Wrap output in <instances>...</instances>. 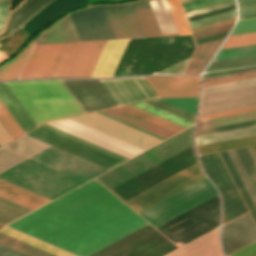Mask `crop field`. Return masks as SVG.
<instances>
[{"mask_svg":"<svg viewBox=\"0 0 256 256\" xmlns=\"http://www.w3.org/2000/svg\"><path fill=\"white\" fill-rule=\"evenodd\" d=\"M146 224L93 180L7 226L88 256Z\"/></svg>","mask_w":256,"mask_h":256,"instance_id":"obj_1","label":"crop field"},{"mask_svg":"<svg viewBox=\"0 0 256 256\" xmlns=\"http://www.w3.org/2000/svg\"><path fill=\"white\" fill-rule=\"evenodd\" d=\"M26 135L0 148V173L49 147ZM107 169L49 147L0 174V179L50 200Z\"/></svg>","mask_w":256,"mask_h":256,"instance_id":"obj_2","label":"crop field"},{"mask_svg":"<svg viewBox=\"0 0 256 256\" xmlns=\"http://www.w3.org/2000/svg\"><path fill=\"white\" fill-rule=\"evenodd\" d=\"M193 49L191 35L130 39L112 76L157 74L189 58ZM188 60L160 74L182 73Z\"/></svg>","mask_w":256,"mask_h":256,"instance_id":"obj_3","label":"crop field"},{"mask_svg":"<svg viewBox=\"0 0 256 256\" xmlns=\"http://www.w3.org/2000/svg\"><path fill=\"white\" fill-rule=\"evenodd\" d=\"M106 41L35 45L20 78L89 77Z\"/></svg>","mask_w":256,"mask_h":256,"instance_id":"obj_4","label":"crop field"},{"mask_svg":"<svg viewBox=\"0 0 256 256\" xmlns=\"http://www.w3.org/2000/svg\"><path fill=\"white\" fill-rule=\"evenodd\" d=\"M5 84L37 126L49 120L83 113L60 80Z\"/></svg>","mask_w":256,"mask_h":256,"instance_id":"obj_5","label":"crop field"},{"mask_svg":"<svg viewBox=\"0 0 256 256\" xmlns=\"http://www.w3.org/2000/svg\"><path fill=\"white\" fill-rule=\"evenodd\" d=\"M193 127L96 177L109 190L193 146Z\"/></svg>","mask_w":256,"mask_h":256,"instance_id":"obj_6","label":"crop field"},{"mask_svg":"<svg viewBox=\"0 0 256 256\" xmlns=\"http://www.w3.org/2000/svg\"><path fill=\"white\" fill-rule=\"evenodd\" d=\"M219 224L218 196L156 227L173 243L182 245L217 227Z\"/></svg>","mask_w":256,"mask_h":256,"instance_id":"obj_7","label":"crop field"},{"mask_svg":"<svg viewBox=\"0 0 256 256\" xmlns=\"http://www.w3.org/2000/svg\"><path fill=\"white\" fill-rule=\"evenodd\" d=\"M26 135L65 150L107 169L128 159L46 124L34 129Z\"/></svg>","mask_w":256,"mask_h":256,"instance_id":"obj_8","label":"crop field"},{"mask_svg":"<svg viewBox=\"0 0 256 256\" xmlns=\"http://www.w3.org/2000/svg\"><path fill=\"white\" fill-rule=\"evenodd\" d=\"M216 195L205 177L138 214L156 227Z\"/></svg>","mask_w":256,"mask_h":256,"instance_id":"obj_9","label":"crop field"},{"mask_svg":"<svg viewBox=\"0 0 256 256\" xmlns=\"http://www.w3.org/2000/svg\"><path fill=\"white\" fill-rule=\"evenodd\" d=\"M175 249L148 224L90 256H163Z\"/></svg>","mask_w":256,"mask_h":256,"instance_id":"obj_10","label":"crop field"},{"mask_svg":"<svg viewBox=\"0 0 256 256\" xmlns=\"http://www.w3.org/2000/svg\"><path fill=\"white\" fill-rule=\"evenodd\" d=\"M196 162L191 147L110 191L124 201Z\"/></svg>","mask_w":256,"mask_h":256,"instance_id":"obj_11","label":"crop field"},{"mask_svg":"<svg viewBox=\"0 0 256 256\" xmlns=\"http://www.w3.org/2000/svg\"><path fill=\"white\" fill-rule=\"evenodd\" d=\"M201 163L222 197L221 224L247 212L218 153L200 156Z\"/></svg>","mask_w":256,"mask_h":256,"instance_id":"obj_12","label":"crop field"},{"mask_svg":"<svg viewBox=\"0 0 256 256\" xmlns=\"http://www.w3.org/2000/svg\"><path fill=\"white\" fill-rule=\"evenodd\" d=\"M203 177L196 163L124 202L138 213Z\"/></svg>","mask_w":256,"mask_h":256,"instance_id":"obj_13","label":"crop field"},{"mask_svg":"<svg viewBox=\"0 0 256 256\" xmlns=\"http://www.w3.org/2000/svg\"><path fill=\"white\" fill-rule=\"evenodd\" d=\"M70 118L143 150H146L161 141L96 113Z\"/></svg>","mask_w":256,"mask_h":256,"instance_id":"obj_14","label":"crop field"},{"mask_svg":"<svg viewBox=\"0 0 256 256\" xmlns=\"http://www.w3.org/2000/svg\"><path fill=\"white\" fill-rule=\"evenodd\" d=\"M85 113L117 106L99 80H62Z\"/></svg>","mask_w":256,"mask_h":256,"instance_id":"obj_15","label":"crop field"},{"mask_svg":"<svg viewBox=\"0 0 256 256\" xmlns=\"http://www.w3.org/2000/svg\"><path fill=\"white\" fill-rule=\"evenodd\" d=\"M69 16L80 41L115 38L101 5Z\"/></svg>","mask_w":256,"mask_h":256,"instance_id":"obj_16","label":"crop field"},{"mask_svg":"<svg viewBox=\"0 0 256 256\" xmlns=\"http://www.w3.org/2000/svg\"><path fill=\"white\" fill-rule=\"evenodd\" d=\"M66 119V118H65ZM62 120V119H61ZM58 121V120H57ZM54 122V121H53ZM50 123V122H49ZM50 125L79 136L97 145L105 147L128 158L142 152L143 150L112 138L101 132L93 130L70 119L50 123Z\"/></svg>","mask_w":256,"mask_h":256,"instance_id":"obj_17","label":"crop field"},{"mask_svg":"<svg viewBox=\"0 0 256 256\" xmlns=\"http://www.w3.org/2000/svg\"><path fill=\"white\" fill-rule=\"evenodd\" d=\"M221 240L225 255H229L256 241V228L249 213L221 226Z\"/></svg>","mask_w":256,"mask_h":256,"instance_id":"obj_18","label":"crop field"},{"mask_svg":"<svg viewBox=\"0 0 256 256\" xmlns=\"http://www.w3.org/2000/svg\"><path fill=\"white\" fill-rule=\"evenodd\" d=\"M159 97L198 95V76L144 77Z\"/></svg>","mask_w":256,"mask_h":256,"instance_id":"obj_19","label":"crop field"},{"mask_svg":"<svg viewBox=\"0 0 256 256\" xmlns=\"http://www.w3.org/2000/svg\"><path fill=\"white\" fill-rule=\"evenodd\" d=\"M102 6L116 38L144 37L130 3Z\"/></svg>","mask_w":256,"mask_h":256,"instance_id":"obj_20","label":"crop field"},{"mask_svg":"<svg viewBox=\"0 0 256 256\" xmlns=\"http://www.w3.org/2000/svg\"><path fill=\"white\" fill-rule=\"evenodd\" d=\"M0 232H2L4 234H7V235H9L11 237H14V238H16L18 240H21V241H23L25 243H28V244H30L32 246H35V247H37L39 249H42V250H44L46 252H49V253H51L53 255H56V256H73V255H71L69 253L61 251V250H59L57 248H54V247H52L50 245H47V244H45L43 242H40V241H38L36 239H33V238L29 237V236H26V235H24L22 233H19V232L15 231V230L7 228V227L2 229ZM2 233H0V243L1 244H4V245H6L8 247H11V248H13L15 250H18V251L23 252V253H25L27 255H30V256H53V255H51L49 253H46V252H44L42 250H39V249H37L35 247H32V246H30L28 244H25V243H23L21 241H18L16 239L11 238V237H9L7 235H4Z\"/></svg>","mask_w":256,"mask_h":256,"instance_id":"obj_21","label":"crop field"},{"mask_svg":"<svg viewBox=\"0 0 256 256\" xmlns=\"http://www.w3.org/2000/svg\"><path fill=\"white\" fill-rule=\"evenodd\" d=\"M128 79H133L140 89L142 87V89L145 91V93L148 95V97L156 95L153 92V90L150 88V86L146 83L145 80H137L139 82V84L141 85V87L135 80V79H143V77L101 80V81L102 82H104V81H120V80H128ZM133 80L120 81V82H105L103 84L108 89V91L112 94V96L115 98V100L118 102V104H120V103H124V102H128V101L144 98L145 96L147 97V95L141 89L142 92L145 94V96H144V94L137 87V85L134 83ZM148 97L144 98V99L136 100V101L150 99ZM155 97H157V96H155ZM155 97H151V98H155ZM136 101H132V102H136ZM128 103H131V102H128ZM124 104H127V103H124ZM120 105H122V104H120Z\"/></svg>","mask_w":256,"mask_h":256,"instance_id":"obj_22","label":"crop field"},{"mask_svg":"<svg viewBox=\"0 0 256 256\" xmlns=\"http://www.w3.org/2000/svg\"><path fill=\"white\" fill-rule=\"evenodd\" d=\"M128 40L107 41L90 77H111Z\"/></svg>","mask_w":256,"mask_h":256,"instance_id":"obj_23","label":"crop field"},{"mask_svg":"<svg viewBox=\"0 0 256 256\" xmlns=\"http://www.w3.org/2000/svg\"><path fill=\"white\" fill-rule=\"evenodd\" d=\"M214 230L167 256H223Z\"/></svg>","mask_w":256,"mask_h":256,"instance_id":"obj_24","label":"crop field"},{"mask_svg":"<svg viewBox=\"0 0 256 256\" xmlns=\"http://www.w3.org/2000/svg\"><path fill=\"white\" fill-rule=\"evenodd\" d=\"M0 197L8 199L31 210L50 201L2 180H0Z\"/></svg>","mask_w":256,"mask_h":256,"instance_id":"obj_25","label":"crop field"},{"mask_svg":"<svg viewBox=\"0 0 256 256\" xmlns=\"http://www.w3.org/2000/svg\"><path fill=\"white\" fill-rule=\"evenodd\" d=\"M146 102L194 123V117L195 116L190 114V113H187V112H185V111H183L181 109H178V108H176L174 106H171V105H169V104H167L165 102H162V101H160L158 99H154V100H150V101H146ZM147 103L142 102V103L133 104V105L137 106V107H139L141 109H144L146 111H149L151 113H154L156 115H159V116H161L163 118H166L168 120H171L173 122H176V123H178L180 125H183L185 127H188V126L193 124V123H191L189 121H186V120H184L182 118H179V117H177L175 115H172V114H170V113H168L166 111H163V110H161L159 108H156V107H154L152 105H149Z\"/></svg>","mask_w":256,"mask_h":256,"instance_id":"obj_26","label":"crop field"},{"mask_svg":"<svg viewBox=\"0 0 256 256\" xmlns=\"http://www.w3.org/2000/svg\"><path fill=\"white\" fill-rule=\"evenodd\" d=\"M0 101L25 132L37 127L4 83H0Z\"/></svg>","mask_w":256,"mask_h":256,"instance_id":"obj_27","label":"crop field"},{"mask_svg":"<svg viewBox=\"0 0 256 256\" xmlns=\"http://www.w3.org/2000/svg\"><path fill=\"white\" fill-rule=\"evenodd\" d=\"M79 41L69 16L39 35L36 43Z\"/></svg>","mask_w":256,"mask_h":256,"instance_id":"obj_28","label":"crop field"},{"mask_svg":"<svg viewBox=\"0 0 256 256\" xmlns=\"http://www.w3.org/2000/svg\"><path fill=\"white\" fill-rule=\"evenodd\" d=\"M145 37L162 36L148 0L131 3Z\"/></svg>","mask_w":256,"mask_h":256,"instance_id":"obj_29","label":"crop field"},{"mask_svg":"<svg viewBox=\"0 0 256 256\" xmlns=\"http://www.w3.org/2000/svg\"><path fill=\"white\" fill-rule=\"evenodd\" d=\"M253 96H256V86L230 90L225 92H219V93H214L209 95H203L201 96L200 107L253 97Z\"/></svg>","mask_w":256,"mask_h":256,"instance_id":"obj_30","label":"crop field"},{"mask_svg":"<svg viewBox=\"0 0 256 256\" xmlns=\"http://www.w3.org/2000/svg\"><path fill=\"white\" fill-rule=\"evenodd\" d=\"M256 135V126L195 137L197 146Z\"/></svg>","mask_w":256,"mask_h":256,"instance_id":"obj_31","label":"crop field"},{"mask_svg":"<svg viewBox=\"0 0 256 256\" xmlns=\"http://www.w3.org/2000/svg\"><path fill=\"white\" fill-rule=\"evenodd\" d=\"M223 40L197 46L185 73H199Z\"/></svg>","mask_w":256,"mask_h":256,"instance_id":"obj_32","label":"crop field"},{"mask_svg":"<svg viewBox=\"0 0 256 256\" xmlns=\"http://www.w3.org/2000/svg\"><path fill=\"white\" fill-rule=\"evenodd\" d=\"M162 33L178 32L165 0L149 1ZM179 33L162 34L163 36Z\"/></svg>","mask_w":256,"mask_h":256,"instance_id":"obj_33","label":"crop field"},{"mask_svg":"<svg viewBox=\"0 0 256 256\" xmlns=\"http://www.w3.org/2000/svg\"><path fill=\"white\" fill-rule=\"evenodd\" d=\"M35 40L29 42L17 56L0 66V80L17 79Z\"/></svg>","mask_w":256,"mask_h":256,"instance_id":"obj_34","label":"crop field"},{"mask_svg":"<svg viewBox=\"0 0 256 256\" xmlns=\"http://www.w3.org/2000/svg\"><path fill=\"white\" fill-rule=\"evenodd\" d=\"M103 111L106 112V113H109V114H111L113 116H116L118 118H121V119H123L125 121H128V122H130L132 124H135V125H137L139 127H142V128H144L146 130L154 132V133H156L158 135H161V136H163L165 138H168V137H170V136L175 134V133H173L171 131H168V130H166L164 128H161V127H159L157 125H154V124H152L150 122H147L145 120H142V119H140L138 117H135V116H133L131 114H128V113H126L124 111H121V110H119L117 108L103 110Z\"/></svg>","mask_w":256,"mask_h":256,"instance_id":"obj_35","label":"crop field"},{"mask_svg":"<svg viewBox=\"0 0 256 256\" xmlns=\"http://www.w3.org/2000/svg\"><path fill=\"white\" fill-rule=\"evenodd\" d=\"M256 144V136L197 147L199 155Z\"/></svg>","mask_w":256,"mask_h":256,"instance_id":"obj_36","label":"crop field"},{"mask_svg":"<svg viewBox=\"0 0 256 256\" xmlns=\"http://www.w3.org/2000/svg\"><path fill=\"white\" fill-rule=\"evenodd\" d=\"M52 0H31L27 3L16 15L15 20L10 28L11 32L16 30L40 9L47 5Z\"/></svg>","mask_w":256,"mask_h":256,"instance_id":"obj_37","label":"crop field"},{"mask_svg":"<svg viewBox=\"0 0 256 256\" xmlns=\"http://www.w3.org/2000/svg\"><path fill=\"white\" fill-rule=\"evenodd\" d=\"M256 118V110L197 122L196 130Z\"/></svg>","mask_w":256,"mask_h":256,"instance_id":"obj_38","label":"crop field"},{"mask_svg":"<svg viewBox=\"0 0 256 256\" xmlns=\"http://www.w3.org/2000/svg\"><path fill=\"white\" fill-rule=\"evenodd\" d=\"M251 106H256V97L233 101V102H228V103H223V104L207 106V107H202L199 110L198 116L211 114V113H217V112H223V111H228V110H234V109H239V108L251 107Z\"/></svg>","mask_w":256,"mask_h":256,"instance_id":"obj_39","label":"crop field"},{"mask_svg":"<svg viewBox=\"0 0 256 256\" xmlns=\"http://www.w3.org/2000/svg\"><path fill=\"white\" fill-rule=\"evenodd\" d=\"M31 210L0 198V224L6 223L30 212Z\"/></svg>","mask_w":256,"mask_h":256,"instance_id":"obj_40","label":"crop field"},{"mask_svg":"<svg viewBox=\"0 0 256 256\" xmlns=\"http://www.w3.org/2000/svg\"><path fill=\"white\" fill-rule=\"evenodd\" d=\"M250 65H256V56H249V57H242V58H235V59L211 62L208 69L206 70V72L222 70V69L237 68V67H244V66H250Z\"/></svg>","mask_w":256,"mask_h":256,"instance_id":"obj_41","label":"crop field"},{"mask_svg":"<svg viewBox=\"0 0 256 256\" xmlns=\"http://www.w3.org/2000/svg\"><path fill=\"white\" fill-rule=\"evenodd\" d=\"M255 166H256V153L253 149V147H249L247 148ZM246 148H243V149H237L236 152L256 190V168L247 152Z\"/></svg>","mask_w":256,"mask_h":256,"instance_id":"obj_42","label":"crop field"},{"mask_svg":"<svg viewBox=\"0 0 256 256\" xmlns=\"http://www.w3.org/2000/svg\"><path fill=\"white\" fill-rule=\"evenodd\" d=\"M256 55V45L219 50L213 61Z\"/></svg>","mask_w":256,"mask_h":256,"instance_id":"obj_43","label":"crop field"},{"mask_svg":"<svg viewBox=\"0 0 256 256\" xmlns=\"http://www.w3.org/2000/svg\"><path fill=\"white\" fill-rule=\"evenodd\" d=\"M180 34H190L187 21L178 0H166Z\"/></svg>","mask_w":256,"mask_h":256,"instance_id":"obj_44","label":"crop field"},{"mask_svg":"<svg viewBox=\"0 0 256 256\" xmlns=\"http://www.w3.org/2000/svg\"><path fill=\"white\" fill-rule=\"evenodd\" d=\"M0 123L12 137V139L24 134L4 106L0 102Z\"/></svg>","mask_w":256,"mask_h":256,"instance_id":"obj_45","label":"crop field"},{"mask_svg":"<svg viewBox=\"0 0 256 256\" xmlns=\"http://www.w3.org/2000/svg\"><path fill=\"white\" fill-rule=\"evenodd\" d=\"M256 85V78L202 88V95Z\"/></svg>","mask_w":256,"mask_h":256,"instance_id":"obj_46","label":"crop field"},{"mask_svg":"<svg viewBox=\"0 0 256 256\" xmlns=\"http://www.w3.org/2000/svg\"><path fill=\"white\" fill-rule=\"evenodd\" d=\"M251 44H256V32L229 36L221 49Z\"/></svg>","mask_w":256,"mask_h":256,"instance_id":"obj_47","label":"crop field"},{"mask_svg":"<svg viewBox=\"0 0 256 256\" xmlns=\"http://www.w3.org/2000/svg\"><path fill=\"white\" fill-rule=\"evenodd\" d=\"M198 97L160 99L195 115Z\"/></svg>","mask_w":256,"mask_h":256,"instance_id":"obj_48","label":"crop field"},{"mask_svg":"<svg viewBox=\"0 0 256 256\" xmlns=\"http://www.w3.org/2000/svg\"><path fill=\"white\" fill-rule=\"evenodd\" d=\"M235 16H236V12L234 9V10L226 11V12L219 13L216 15L201 18L198 20L190 21L189 24H190V28L192 29V28H196L199 26H203L206 24L221 21V20L228 19V18L235 17Z\"/></svg>","mask_w":256,"mask_h":256,"instance_id":"obj_49","label":"crop field"},{"mask_svg":"<svg viewBox=\"0 0 256 256\" xmlns=\"http://www.w3.org/2000/svg\"><path fill=\"white\" fill-rule=\"evenodd\" d=\"M252 125H256V119L250 120V121H245V122L224 125V126H219V127H214V128L198 130V131H196L195 136L224 131V130H230V129H235V128H241V127H246V126H252Z\"/></svg>","mask_w":256,"mask_h":256,"instance_id":"obj_50","label":"crop field"},{"mask_svg":"<svg viewBox=\"0 0 256 256\" xmlns=\"http://www.w3.org/2000/svg\"><path fill=\"white\" fill-rule=\"evenodd\" d=\"M240 18L256 17V0H238Z\"/></svg>","mask_w":256,"mask_h":256,"instance_id":"obj_51","label":"crop field"},{"mask_svg":"<svg viewBox=\"0 0 256 256\" xmlns=\"http://www.w3.org/2000/svg\"><path fill=\"white\" fill-rule=\"evenodd\" d=\"M253 31H256V19L243 20V21H238L231 35L253 32Z\"/></svg>","mask_w":256,"mask_h":256,"instance_id":"obj_52","label":"crop field"},{"mask_svg":"<svg viewBox=\"0 0 256 256\" xmlns=\"http://www.w3.org/2000/svg\"><path fill=\"white\" fill-rule=\"evenodd\" d=\"M220 155H221L228 171L230 172L238 190L244 189V186H243V184H242V182H241V180H240V178H239V176H238V174H237V172H236V170H235L227 152L220 153Z\"/></svg>","mask_w":256,"mask_h":256,"instance_id":"obj_53","label":"crop field"},{"mask_svg":"<svg viewBox=\"0 0 256 256\" xmlns=\"http://www.w3.org/2000/svg\"><path fill=\"white\" fill-rule=\"evenodd\" d=\"M117 108H119V109H121V110H124V111H126V112H128V113H131V114H133V115H135V116H138V117H140V118H142V119H145V120H147V121H150V122H152V123H154V124H157V125H159V126H161V127H164V128H166V129H168V130H171V131H173V132H175V133H177V132L180 131V130H178V129H176V128H173V127H171V126H169V125H166V124H164V123H162V122H159V121H157V120H155V119H152V118H150V117H148V116H146V115H143V114H141V113H139V112H136V111H134V110H132V109H129V108L125 107V106H121V107H117Z\"/></svg>","mask_w":256,"mask_h":256,"instance_id":"obj_54","label":"crop field"},{"mask_svg":"<svg viewBox=\"0 0 256 256\" xmlns=\"http://www.w3.org/2000/svg\"><path fill=\"white\" fill-rule=\"evenodd\" d=\"M229 31H225V32H221V33H218V34H214V35H210V36H206V37H203V38H199V39H195V45H201V44H205V43H208V42H212V41H215V40H219V39H223L225 38V36L227 35Z\"/></svg>","mask_w":256,"mask_h":256,"instance_id":"obj_55","label":"crop field"},{"mask_svg":"<svg viewBox=\"0 0 256 256\" xmlns=\"http://www.w3.org/2000/svg\"><path fill=\"white\" fill-rule=\"evenodd\" d=\"M96 113L101 114V115H103V116H105V117H108V118H110V119H113V120H115V121H118V122H120V123H122V124H125V125H127V126H130V127H132V128H135V129H137V130H139V131H142V132H144V133H147V134H149V135H152V136H154V137H156V138H159V139H161V140H164V139H165V138H163V137H161V136H158V135H156V134H154V133H151V132H149V131H146V130H144V129H142V128H139V127H137V126H135V125H132V124H130V123H128V122H125V121H123V120H121V119H118V118L113 117V116H111V115H109V114H106V113H104V112H102V111H99V112H96Z\"/></svg>","mask_w":256,"mask_h":256,"instance_id":"obj_56","label":"crop field"},{"mask_svg":"<svg viewBox=\"0 0 256 256\" xmlns=\"http://www.w3.org/2000/svg\"><path fill=\"white\" fill-rule=\"evenodd\" d=\"M234 4L235 3L232 0V1H228V2H225V3L218 4V5H214V6H211V7H207V8H204V9H200V10H197V11H193V12H190V13H186L185 15H186V17H188V16L200 14V13H203V12L219 9V8L234 5Z\"/></svg>","mask_w":256,"mask_h":256,"instance_id":"obj_57","label":"crop field"},{"mask_svg":"<svg viewBox=\"0 0 256 256\" xmlns=\"http://www.w3.org/2000/svg\"><path fill=\"white\" fill-rule=\"evenodd\" d=\"M127 107L132 108V109H134V110H136V111H139V112H141V113H143V114H146V115H148V116H150V117H153V118H155V119H157V120H159V121H162V122H164V123H166V124H169V125H171V126H173V127L178 128V129H180V130H182V129L185 128V127H183V126H180V125H178V124H176V123H173V122H171V121H168V120H166V119H163V118H161V117H158V116H156V115H154V114H151V113H149V112H146V111H144V110H141V109H139V108H137V107H134V106H132V105H127Z\"/></svg>","mask_w":256,"mask_h":256,"instance_id":"obj_58","label":"crop field"},{"mask_svg":"<svg viewBox=\"0 0 256 256\" xmlns=\"http://www.w3.org/2000/svg\"><path fill=\"white\" fill-rule=\"evenodd\" d=\"M251 73H256V69L243 71V72L232 73V74H227V75H221V76H216V77H211V78H205V79L202 80V83L209 82V81H214V80L225 79V78H230V77H235V76H240V75H245V74H251Z\"/></svg>","mask_w":256,"mask_h":256,"instance_id":"obj_59","label":"crop field"},{"mask_svg":"<svg viewBox=\"0 0 256 256\" xmlns=\"http://www.w3.org/2000/svg\"><path fill=\"white\" fill-rule=\"evenodd\" d=\"M230 256H256V242L233 253Z\"/></svg>","mask_w":256,"mask_h":256,"instance_id":"obj_60","label":"crop field"},{"mask_svg":"<svg viewBox=\"0 0 256 256\" xmlns=\"http://www.w3.org/2000/svg\"><path fill=\"white\" fill-rule=\"evenodd\" d=\"M255 109H256V107H251V108H245V109H240V110L228 111V112L217 113V114H212V115L200 116V117H198L197 121L204 120V119H209V118H214V117L230 115V114H235V113H240V112H245V111H250V110H255Z\"/></svg>","mask_w":256,"mask_h":256,"instance_id":"obj_61","label":"crop field"},{"mask_svg":"<svg viewBox=\"0 0 256 256\" xmlns=\"http://www.w3.org/2000/svg\"><path fill=\"white\" fill-rule=\"evenodd\" d=\"M240 193H241V195H242V197H243V199H244V201H245V203H246V205H247V207H248V209H249V211H250V213H251V215H252V217H253V219L256 223V209H255V207H254L246 189L240 190Z\"/></svg>","mask_w":256,"mask_h":256,"instance_id":"obj_62","label":"crop field"},{"mask_svg":"<svg viewBox=\"0 0 256 256\" xmlns=\"http://www.w3.org/2000/svg\"><path fill=\"white\" fill-rule=\"evenodd\" d=\"M232 25L233 24L221 26V27H218V28H214V29H211V30H207V31H204V32L193 34L192 36L195 39V38L203 37V36H206V35L218 33V32H221V31L229 30V29H231Z\"/></svg>","mask_w":256,"mask_h":256,"instance_id":"obj_63","label":"crop field"},{"mask_svg":"<svg viewBox=\"0 0 256 256\" xmlns=\"http://www.w3.org/2000/svg\"><path fill=\"white\" fill-rule=\"evenodd\" d=\"M235 18H231V19H228V20H224V21H221V22L214 23V24H210V25H206V26L199 27V28H196V29H192L191 32L193 34V33H197V32L204 31V30H207V29H211V28H214V27H218V26H221V25L233 23L235 21Z\"/></svg>","mask_w":256,"mask_h":256,"instance_id":"obj_64","label":"crop field"},{"mask_svg":"<svg viewBox=\"0 0 256 256\" xmlns=\"http://www.w3.org/2000/svg\"><path fill=\"white\" fill-rule=\"evenodd\" d=\"M253 77H256V74L245 75V76H240V77H235V78H230V79H225V80H220V81L204 83V84H202V87L220 84V83L231 82V81H237V80H242V79H248V78H253Z\"/></svg>","mask_w":256,"mask_h":256,"instance_id":"obj_65","label":"crop field"},{"mask_svg":"<svg viewBox=\"0 0 256 256\" xmlns=\"http://www.w3.org/2000/svg\"><path fill=\"white\" fill-rule=\"evenodd\" d=\"M0 256H27V255L0 244Z\"/></svg>","mask_w":256,"mask_h":256,"instance_id":"obj_66","label":"crop field"},{"mask_svg":"<svg viewBox=\"0 0 256 256\" xmlns=\"http://www.w3.org/2000/svg\"><path fill=\"white\" fill-rule=\"evenodd\" d=\"M8 6V0H7ZM6 20V0H0V30Z\"/></svg>","mask_w":256,"mask_h":256,"instance_id":"obj_67","label":"crop field"},{"mask_svg":"<svg viewBox=\"0 0 256 256\" xmlns=\"http://www.w3.org/2000/svg\"><path fill=\"white\" fill-rule=\"evenodd\" d=\"M234 8H235V5L234 6H230V7H226V8H222V9H219V10L203 13V14H200V15L188 17L187 19H188V21H190V20L198 19V18L205 17V16H208V15H212V14H216V13H219V12H223V11H226V10L234 9Z\"/></svg>","mask_w":256,"mask_h":256,"instance_id":"obj_68","label":"crop field"},{"mask_svg":"<svg viewBox=\"0 0 256 256\" xmlns=\"http://www.w3.org/2000/svg\"><path fill=\"white\" fill-rule=\"evenodd\" d=\"M253 68H256V66L239 68V69H233V70H227V71H221V72H215V73H209V74H204L203 78L211 77V76H216V75H221V74L232 73V72H237V71H243V70H248V69H253Z\"/></svg>","mask_w":256,"mask_h":256,"instance_id":"obj_69","label":"crop field"},{"mask_svg":"<svg viewBox=\"0 0 256 256\" xmlns=\"http://www.w3.org/2000/svg\"><path fill=\"white\" fill-rule=\"evenodd\" d=\"M12 140L5 129L0 124V146Z\"/></svg>","mask_w":256,"mask_h":256,"instance_id":"obj_70","label":"crop field"},{"mask_svg":"<svg viewBox=\"0 0 256 256\" xmlns=\"http://www.w3.org/2000/svg\"><path fill=\"white\" fill-rule=\"evenodd\" d=\"M205 1H209V0H190V1L182 2L181 4H182V7L184 8V7H188V6L202 3Z\"/></svg>","mask_w":256,"mask_h":256,"instance_id":"obj_71","label":"crop field"},{"mask_svg":"<svg viewBox=\"0 0 256 256\" xmlns=\"http://www.w3.org/2000/svg\"><path fill=\"white\" fill-rule=\"evenodd\" d=\"M220 1H223V0H212V1H209V2L202 3V4H198V5H195V6L188 7V8H184V11L194 9V8H197V7H201V6H205V5H209V4H212V3L220 2Z\"/></svg>","mask_w":256,"mask_h":256,"instance_id":"obj_72","label":"crop field"},{"mask_svg":"<svg viewBox=\"0 0 256 256\" xmlns=\"http://www.w3.org/2000/svg\"><path fill=\"white\" fill-rule=\"evenodd\" d=\"M105 1H117V0H87V3L91 4V3L105 2Z\"/></svg>","mask_w":256,"mask_h":256,"instance_id":"obj_73","label":"crop field"},{"mask_svg":"<svg viewBox=\"0 0 256 256\" xmlns=\"http://www.w3.org/2000/svg\"><path fill=\"white\" fill-rule=\"evenodd\" d=\"M182 1H186V0H180V2H182Z\"/></svg>","mask_w":256,"mask_h":256,"instance_id":"obj_74","label":"crop field"},{"mask_svg":"<svg viewBox=\"0 0 256 256\" xmlns=\"http://www.w3.org/2000/svg\"><path fill=\"white\" fill-rule=\"evenodd\" d=\"M254 149H255V151H256V146H254Z\"/></svg>","mask_w":256,"mask_h":256,"instance_id":"obj_75","label":"crop field"},{"mask_svg":"<svg viewBox=\"0 0 256 256\" xmlns=\"http://www.w3.org/2000/svg\"><path fill=\"white\" fill-rule=\"evenodd\" d=\"M3 226L0 225V228H2Z\"/></svg>","mask_w":256,"mask_h":256,"instance_id":"obj_76","label":"crop field"}]
</instances>
